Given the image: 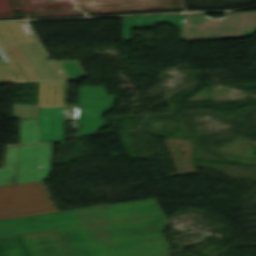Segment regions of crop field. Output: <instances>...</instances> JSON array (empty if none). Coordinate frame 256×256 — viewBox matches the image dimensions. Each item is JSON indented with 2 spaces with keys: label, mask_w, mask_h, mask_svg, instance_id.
I'll return each mask as SVG.
<instances>
[{
  "label": "crop field",
  "mask_w": 256,
  "mask_h": 256,
  "mask_svg": "<svg viewBox=\"0 0 256 256\" xmlns=\"http://www.w3.org/2000/svg\"><path fill=\"white\" fill-rule=\"evenodd\" d=\"M155 199L0 220V236L55 229L73 256H167Z\"/></svg>",
  "instance_id": "obj_1"
},
{
  "label": "crop field",
  "mask_w": 256,
  "mask_h": 256,
  "mask_svg": "<svg viewBox=\"0 0 256 256\" xmlns=\"http://www.w3.org/2000/svg\"><path fill=\"white\" fill-rule=\"evenodd\" d=\"M28 81H64L53 61H48L37 42H5ZM65 82L39 83V142L64 141L63 105Z\"/></svg>",
  "instance_id": "obj_2"
},
{
  "label": "crop field",
  "mask_w": 256,
  "mask_h": 256,
  "mask_svg": "<svg viewBox=\"0 0 256 256\" xmlns=\"http://www.w3.org/2000/svg\"><path fill=\"white\" fill-rule=\"evenodd\" d=\"M224 19H206L204 14L123 17V41H131V29L150 27L158 20L177 26L181 34L179 41L217 39Z\"/></svg>",
  "instance_id": "obj_3"
},
{
  "label": "crop field",
  "mask_w": 256,
  "mask_h": 256,
  "mask_svg": "<svg viewBox=\"0 0 256 256\" xmlns=\"http://www.w3.org/2000/svg\"><path fill=\"white\" fill-rule=\"evenodd\" d=\"M43 181L0 187V219L56 211Z\"/></svg>",
  "instance_id": "obj_4"
},
{
  "label": "crop field",
  "mask_w": 256,
  "mask_h": 256,
  "mask_svg": "<svg viewBox=\"0 0 256 256\" xmlns=\"http://www.w3.org/2000/svg\"><path fill=\"white\" fill-rule=\"evenodd\" d=\"M0 256H70L54 231L0 238Z\"/></svg>",
  "instance_id": "obj_5"
},
{
  "label": "crop field",
  "mask_w": 256,
  "mask_h": 256,
  "mask_svg": "<svg viewBox=\"0 0 256 256\" xmlns=\"http://www.w3.org/2000/svg\"><path fill=\"white\" fill-rule=\"evenodd\" d=\"M115 103L113 96H107L103 87H79V107L80 113L78 121L82 127L76 136L97 132L106 127L100 114H104Z\"/></svg>",
  "instance_id": "obj_6"
},
{
  "label": "crop field",
  "mask_w": 256,
  "mask_h": 256,
  "mask_svg": "<svg viewBox=\"0 0 256 256\" xmlns=\"http://www.w3.org/2000/svg\"><path fill=\"white\" fill-rule=\"evenodd\" d=\"M256 33V12L227 13L218 39L248 38Z\"/></svg>",
  "instance_id": "obj_7"
},
{
  "label": "crop field",
  "mask_w": 256,
  "mask_h": 256,
  "mask_svg": "<svg viewBox=\"0 0 256 256\" xmlns=\"http://www.w3.org/2000/svg\"><path fill=\"white\" fill-rule=\"evenodd\" d=\"M53 144L39 145L36 168L17 167L15 184L44 180L48 176ZM42 165V168H38Z\"/></svg>",
  "instance_id": "obj_8"
},
{
  "label": "crop field",
  "mask_w": 256,
  "mask_h": 256,
  "mask_svg": "<svg viewBox=\"0 0 256 256\" xmlns=\"http://www.w3.org/2000/svg\"><path fill=\"white\" fill-rule=\"evenodd\" d=\"M66 80L87 78L78 60L55 61Z\"/></svg>",
  "instance_id": "obj_9"
},
{
  "label": "crop field",
  "mask_w": 256,
  "mask_h": 256,
  "mask_svg": "<svg viewBox=\"0 0 256 256\" xmlns=\"http://www.w3.org/2000/svg\"><path fill=\"white\" fill-rule=\"evenodd\" d=\"M38 145H20L17 166L35 167Z\"/></svg>",
  "instance_id": "obj_10"
},
{
  "label": "crop field",
  "mask_w": 256,
  "mask_h": 256,
  "mask_svg": "<svg viewBox=\"0 0 256 256\" xmlns=\"http://www.w3.org/2000/svg\"><path fill=\"white\" fill-rule=\"evenodd\" d=\"M38 142L36 119H20V143Z\"/></svg>",
  "instance_id": "obj_11"
},
{
  "label": "crop field",
  "mask_w": 256,
  "mask_h": 256,
  "mask_svg": "<svg viewBox=\"0 0 256 256\" xmlns=\"http://www.w3.org/2000/svg\"><path fill=\"white\" fill-rule=\"evenodd\" d=\"M16 162H6L5 168H0V185L13 183Z\"/></svg>",
  "instance_id": "obj_12"
}]
</instances>
